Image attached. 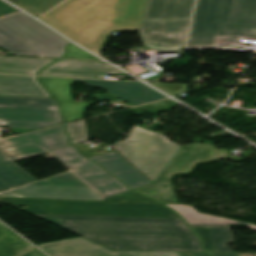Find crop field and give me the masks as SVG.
I'll return each mask as SVG.
<instances>
[{
  "label": "crop field",
  "mask_w": 256,
  "mask_h": 256,
  "mask_svg": "<svg viewBox=\"0 0 256 256\" xmlns=\"http://www.w3.org/2000/svg\"><path fill=\"white\" fill-rule=\"evenodd\" d=\"M194 4L195 0H140L136 20L142 19L139 32L145 47L156 51L183 48Z\"/></svg>",
  "instance_id": "3"
},
{
  "label": "crop field",
  "mask_w": 256,
  "mask_h": 256,
  "mask_svg": "<svg viewBox=\"0 0 256 256\" xmlns=\"http://www.w3.org/2000/svg\"><path fill=\"white\" fill-rule=\"evenodd\" d=\"M23 256H46V255L41 253L39 250L35 249V250H33V251L23 255Z\"/></svg>",
  "instance_id": "27"
},
{
  "label": "crop field",
  "mask_w": 256,
  "mask_h": 256,
  "mask_svg": "<svg viewBox=\"0 0 256 256\" xmlns=\"http://www.w3.org/2000/svg\"><path fill=\"white\" fill-rule=\"evenodd\" d=\"M50 153L104 197L128 191L117 179L79 154L76 148L68 146Z\"/></svg>",
  "instance_id": "10"
},
{
  "label": "crop field",
  "mask_w": 256,
  "mask_h": 256,
  "mask_svg": "<svg viewBox=\"0 0 256 256\" xmlns=\"http://www.w3.org/2000/svg\"><path fill=\"white\" fill-rule=\"evenodd\" d=\"M0 96L52 98L35 76L0 75Z\"/></svg>",
  "instance_id": "14"
},
{
  "label": "crop field",
  "mask_w": 256,
  "mask_h": 256,
  "mask_svg": "<svg viewBox=\"0 0 256 256\" xmlns=\"http://www.w3.org/2000/svg\"><path fill=\"white\" fill-rule=\"evenodd\" d=\"M10 2H12V3H15L16 1H18V0H9Z\"/></svg>",
  "instance_id": "32"
},
{
  "label": "crop field",
  "mask_w": 256,
  "mask_h": 256,
  "mask_svg": "<svg viewBox=\"0 0 256 256\" xmlns=\"http://www.w3.org/2000/svg\"><path fill=\"white\" fill-rule=\"evenodd\" d=\"M158 87L166 90L167 92L175 95L179 92H182L187 89V86H191L188 84H167V83H153Z\"/></svg>",
  "instance_id": "26"
},
{
  "label": "crop field",
  "mask_w": 256,
  "mask_h": 256,
  "mask_svg": "<svg viewBox=\"0 0 256 256\" xmlns=\"http://www.w3.org/2000/svg\"><path fill=\"white\" fill-rule=\"evenodd\" d=\"M243 225H245V226H247V227H250V228H253V229L256 230V226H254V225H250V224H243Z\"/></svg>",
  "instance_id": "30"
},
{
  "label": "crop field",
  "mask_w": 256,
  "mask_h": 256,
  "mask_svg": "<svg viewBox=\"0 0 256 256\" xmlns=\"http://www.w3.org/2000/svg\"><path fill=\"white\" fill-rule=\"evenodd\" d=\"M45 70L97 74H125L107 63L97 61L60 60Z\"/></svg>",
  "instance_id": "18"
},
{
  "label": "crop field",
  "mask_w": 256,
  "mask_h": 256,
  "mask_svg": "<svg viewBox=\"0 0 256 256\" xmlns=\"http://www.w3.org/2000/svg\"><path fill=\"white\" fill-rule=\"evenodd\" d=\"M177 211L191 226H227L237 221L198 213L189 205H166Z\"/></svg>",
  "instance_id": "20"
},
{
  "label": "crop field",
  "mask_w": 256,
  "mask_h": 256,
  "mask_svg": "<svg viewBox=\"0 0 256 256\" xmlns=\"http://www.w3.org/2000/svg\"><path fill=\"white\" fill-rule=\"evenodd\" d=\"M187 47H216L218 39L256 38V0H198Z\"/></svg>",
  "instance_id": "2"
},
{
  "label": "crop field",
  "mask_w": 256,
  "mask_h": 256,
  "mask_svg": "<svg viewBox=\"0 0 256 256\" xmlns=\"http://www.w3.org/2000/svg\"><path fill=\"white\" fill-rule=\"evenodd\" d=\"M0 196L76 200L104 199L73 172L0 193Z\"/></svg>",
  "instance_id": "8"
},
{
  "label": "crop field",
  "mask_w": 256,
  "mask_h": 256,
  "mask_svg": "<svg viewBox=\"0 0 256 256\" xmlns=\"http://www.w3.org/2000/svg\"><path fill=\"white\" fill-rule=\"evenodd\" d=\"M177 105H179V104H177L171 100H165V101H161V102H157V103H153V104H149V105L132 108L131 111H133L136 114L140 113V112H144V111L157 113L159 111L169 110Z\"/></svg>",
  "instance_id": "23"
},
{
  "label": "crop field",
  "mask_w": 256,
  "mask_h": 256,
  "mask_svg": "<svg viewBox=\"0 0 256 256\" xmlns=\"http://www.w3.org/2000/svg\"><path fill=\"white\" fill-rule=\"evenodd\" d=\"M35 249L0 222V256H21Z\"/></svg>",
  "instance_id": "19"
},
{
  "label": "crop field",
  "mask_w": 256,
  "mask_h": 256,
  "mask_svg": "<svg viewBox=\"0 0 256 256\" xmlns=\"http://www.w3.org/2000/svg\"><path fill=\"white\" fill-rule=\"evenodd\" d=\"M40 75L80 77V78H103L104 76V75H97V74H81V73L50 72V71H42Z\"/></svg>",
  "instance_id": "25"
},
{
  "label": "crop field",
  "mask_w": 256,
  "mask_h": 256,
  "mask_svg": "<svg viewBox=\"0 0 256 256\" xmlns=\"http://www.w3.org/2000/svg\"><path fill=\"white\" fill-rule=\"evenodd\" d=\"M122 157V156H121ZM115 151L89 157L98 165L102 166L108 173L116 176L131 190L152 184L147 178L136 171Z\"/></svg>",
  "instance_id": "13"
},
{
  "label": "crop field",
  "mask_w": 256,
  "mask_h": 256,
  "mask_svg": "<svg viewBox=\"0 0 256 256\" xmlns=\"http://www.w3.org/2000/svg\"><path fill=\"white\" fill-rule=\"evenodd\" d=\"M67 40L23 13L0 19V48L11 54L61 57Z\"/></svg>",
  "instance_id": "4"
},
{
  "label": "crop field",
  "mask_w": 256,
  "mask_h": 256,
  "mask_svg": "<svg viewBox=\"0 0 256 256\" xmlns=\"http://www.w3.org/2000/svg\"><path fill=\"white\" fill-rule=\"evenodd\" d=\"M62 122L54 99L0 97V126L41 128Z\"/></svg>",
  "instance_id": "6"
},
{
  "label": "crop field",
  "mask_w": 256,
  "mask_h": 256,
  "mask_svg": "<svg viewBox=\"0 0 256 256\" xmlns=\"http://www.w3.org/2000/svg\"><path fill=\"white\" fill-rule=\"evenodd\" d=\"M206 252H232L227 244L234 243L229 228L194 227Z\"/></svg>",
  "instance_id": "16"
},
{
  "label": "crop field",
  "mask_w": 256,
  "mask_h": 256,
  "mask_svg": "<svg viewBox=\"0 0 256 256\" xmlns=\"http://www.w3.org/2000/svg\"><path fill=\"white\" fill-rule=\"evenodd\" d=\"M0 201L113 250L202 251L171 210L150 203L0 197Z\"/></svg>",
  "instance_id": "1"
},
{
  "label": "crop field",
  "mask_w": 256,
  "mask_h": 256,
  "mask_svg": "<svg viewBox=\"0 0 256 256\" xmlns=\"http://www.w3.org/2000/svg\"><path fill=\"white\" fill-rule=\"evenodd\" d=\"M180 148L162 134L136 126L126 140L113 149L154 183Z\"/></svg>",
  "instance_id": "5"
},
{
  "label": "crop field",
  "mask_w": 256,
  "mask_h": 256,
  "mask_svg": "<svg viewBox=\"0 0 256 256\" xmlns=\"http://www.w3.org/2000/svg\"><path fill=\"white\" fill-rule=\"evenodd\" d=\"M37 179L0 154V192L12 189Z\"/></svg>",
  "instance_id": "15"
},
{
  "label": "crop field",
  "mask_w": 256,
  "mask_h": 256,
  "mask_svg": "<svg viewBox=\"0 0 256 256\" xmlns=\"http://www.w3.org/2000/svg\"><path fill=\"white\" fill-rule=\"evenodd\" d=\"M73 81H84L91 88L106 89L107 92L134 106L167 98L141 82L85 79H73Z\"/></svg>",
  "instance_id": "12"
},
{
  "label": "crop field",
  "mask_w": 256,
  "mask_h": 256,
  "mask_svg": "<svg viewBox=\"0 0 256 256\" xmlns=\"http://www.w3.org/2000/svg\"><path fill=\"white\" fill-rule=\"evenodd\" d=\"M54 61L56 60L0 56V72L37 75L39 69Z\"/></svg>",
  "instance_id": "17"
},
{
  "label": "crop field",
  "mask_w": 256,
  "mask_h": 256,
  "mask_svg": "<svg viewBox=\"0 0 256 256\" xmlns=\"http://www.w3.org/2000/svg\"><path fill=\"white\" fill-rule=\"evenodd\" d=\"M69 145L64 126H58L20 137L0 141V152L11 161L45 154Z\"/></svg>",
  "instance_id": "9"
},
{
  "label": "crop field",
  "mask_w": 256,
  "mask_h": 256,
  "mask_svg": "<svg viewBox=\"0 0 256 256\" xmlns=\"http://www.w3.org/2000/svg\"><path fill=\"white\" fill-rule=\"evenodd\" d=\"M50 256H178L167 252H115L82 237L38 246Z\"/></svg>",
  "instance_id": "11"
},
{
  "label": "crop field",
  "mask_w": 256,
  "mask_h": 256,
  "mask_svg": "<svg viewBox=\"0 0 256 256\" xmlns=\"http://www.w3.org/2000/svg\"><path fill=\"white\" fill-rule=\"evenodd\" d=\"M100 19H101V18H100ZM98 20H99V19H98ZM98 20H97V21H98ZM95 22H96V21H95ZM95 22H94V23H95ZM92 24H93V23H92ZM92 24H90V25H92ZM90 25H89V26H90ZM89 26H87V27H89ZM87 27H86V28H87ZM84 29H85V28H84ZM84 29H83V30H84ZM83 30H82V31H83ZM82 31H81V32H82ZM81 32H80V33H81ZM80 33L77 35V37L80 35ZM77 37H76V39H77ZM76 39H75V40H76Z\"/></svg>",
  "instance_id": "31"
},
{
  "label": "crop field",
  "mask_w": 256,
  "mask_h": 256,
  "mask_svg": "<svg viewBox=\"0 0 256 256\" xmlns=\"http://www.w3.org/2000/svg\"><path fill=\"white\" fill-rule=\"evenodd\" d=\"M62 1L63 0H20L16 4L39 17Z\"/></svg>",
  "instance_id": "21"
},
{
  "label": "crop field",
  "mask_w": 256,
  "mask_h": 256,
  "mask_svg": "<svg viewBox=\"0 0 256 256\" xmlns=\"http://www.w3.org/2000/svg\"><path fill=\"white\" fill-rule=\"evenodd\" d=\"M179 256H207L204 253H178Z\"/></svg>",
  "instance_id": "29"
},
{
  "label": "crop field",
  "mask_w": 256,
  "mask_h": 256,
  "mask_svg": "<svg viewBox=\"0 0 256 256\" xmlns=\"http://www.w3.org/2000/svg\"><path fill=\"white\" fill-rule=\"evenodd\" d=\"M105 200L156 203L155 201H153V200H151V199H149L145 196L135 194L131 191L124 192V193L117 194V195H113V196H110V197H106Z\"/></svg>",
  "instance_id": "24"
},
{
  "label": "crop field",
  "mask_w": 256,
  "mask_h": 256,
  "mask_svg": "<svg viewBox=\"0 0 256 256\" xmlns=\"http://www.w3.org/2000/svg\"><path fill=\"white\" fill-rule=\"evenodd\" d=\"M67 130L71 139V144H76L87 139L85 122H77L73 124H68Z\"/></svg>",
  "instance_id": "22"
},
{
  "label": "crop field",
  "mask_w": 256,
  "mask_h": 256,
  "mask_svg": "<svg viewBox=\"0 0 256 256\" xmlns=\"http://www.w3.org/2000/svg\"><path fill=\"white\" fill-rule=\"evenodd\" d=\"M228 151L199 143L183 146L154 184L134 191L147 195L160 203L178 204L172 186L169 184L172 174L191 170L197 161H208L217 157L227 158Z\"/></svg>",
  "instance_id": "7"
},
{
  "label": "crop field",
  "mask_w": 256,
  "mask_h": 256,
  "mask_svg": "<svg viewBox=\"0 0 256 256\" xmlns=\"http://www.w3.org/2000/svg\"><path fill=\"white\" fill-rule=\"evenodd\" d=\"M212 256H237L236 253H207Z\"/></svg>",
  "instance_id": "28"
}]
</instances>
